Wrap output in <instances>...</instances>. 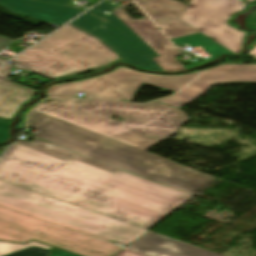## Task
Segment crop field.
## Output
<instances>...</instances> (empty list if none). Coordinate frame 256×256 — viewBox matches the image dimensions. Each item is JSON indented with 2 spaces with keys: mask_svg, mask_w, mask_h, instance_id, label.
Segmentation results:
<instances>
[{
  "mask_svg": "<svg viewBox=\"0 0 256 256\" xmlns=\"http://www.w3.org/2000/svg\"><path fill=\"white\" fill-rule=\"evenodd\" d=\"M2 158L83 184L64 202L146 229L193 197L121 170L112 174L72 158L63 162L17 144Z\"/></svg>",
  "mask_w": 256,
  "mask_h": 256,
  "instance_id": "1",
  "label": "crop field"
},
{
  "mask_svg": "<svg viewBox=\"0 0 256 256\" xmlns=\"http://www.w3.org/2000/svg\"><path fill=\"white\" fill-rule=\"evenodd\" d=\"M33 111L143 150L172 136L189 120L184 112L158 102L137 105L122 101L56 99L50 104H39ZM111 115L123 117L125 121H114L108 118Z\"/></svg>",
  "mask_w": 256,
  "mask_h": 256,
  "instance_id": "2",
  "label": "crop field"
},
{
  "mask_svg": "<svg viewBox=\"0 0 256 256\" xmlns=\"http://www.w3.org/2000/svg\"><path fill=\"white\" fill-rule=\"evenodd\" d=\"M27 125L41 130L34 137L194 195L216 180L162 157L33 111Z\"/></svg>",
  "mask_w": 256,
  "mask_h": 256,
  "instance_id": "3",
  "label": "crop field"
},
{
  "mask_svg": "<svg viewBox=\"0 0 256 256\" xmlns=\"http://www.w3.org/2000/svg\"><path fill=\"white\" fill-rule=\"evenodd\" d=\"M135 1L147 12L175 45L185 43L191 48L201 46L211 56L207 60L202 58L204 63L212 61L222 54H234L179 20L186 4L175 0ZM130 4L138 10L143 16V19L133 20L122 9L123 7L113 13L160 55V57L154 58V60L165 72H178L204 64L183 66L174 57L181 53L133 2Z\"/></svg>",
  "mask_w": 256,
  "mask_h": 256,
  "instance_id": "4",
  "label": "crop field"
},
{
  "mask_svg": "<svg viewBox=\"0 0 256 256\" xmlns=\"http://www.w3.org/2000/svg\"><path fill=\"white\" fill-rule=\"evenodd\" d=\"M11 61L25 71L65 79L100 71L121 59L97 38L69 24Z\"/></svg>",
  "mask_w": 256,
  "mask_h": 256,
  "instance_id": "5",
  "label": "crop field"
},
{
  "mask_svg": "<svg viewBox=\"0 0 256 256\" xmlns=\"http://www.w3.org/2000/svg\"><path fill=\"white\" fill-rule=\"evenodd\" d=\"M29 192L31 191L0 181V205L113 244L119 242L128 246L149 231L41 194L34 192L29 194Z\"/></svg>",
  "mask_w": 256,
  "mask_h": 256,
  "instance_id": "6",
  "label": "crop field"
},
{
  "mask_svg": "<svg viewBox=\"0 0 256 256\" xmlns=\"http://www.w3.org/2000/svg\"><path fill=\"white\" fill-rule=\"evenodd\" d=\"M200 72L178 76H165L142 73L125 67L87 80L66 84L52 85L47 89V96L72 98L77 92L87 98L120 100L132 99L142 83L178 91Z\"/></svg>",
  "mask_w": 256,
  "mask_h": 256,
  "instance_id": "7",
  "label": "crop field"
},
{
  "mask_svg": "<svg viewBox=\"0 0 256 256\" xmlns=\"http://www.w3.org/2000/svg\"><path fill=\"white\" fill-rule=\"evenodd\" d=\"M30 239L83 256H113L122 249L0 206V240L25 243Z\"/></svg>",
  "mask_w": 256,
  "mask_h": 256,
  "instance_id": "8",
  "label": "crop field"
},
{
  "mask_svg": "<svg viewBox=\"0 0 256 256\" xmlns=\"http://www.w3.org/2000/svg\"><path fill=\"white\" fill-rule=\"evenodd\" d=\"M244 9L245 3L239 0H191L180 19L237 55L242 51L246 32L227 23Z\"/></svg>",
  "mask_w": 256,
  "mask_h": 256,
  "instance_id": "9",
  "label": "crop field"
},
{
  "mask_svg": "<svg viewBox=\"0 0 256 256\" xmlns=\"http://www.w3.org/2000/svg\"><path fill=\"white\" fill-rule=\"evenodd\" d=\"M114 8L115 6L104 2L92 8L90 12L107 22L88 33L98 37L104 43L115 49L126 63L133 64L140 69L163 71L152 59L159 56L156 52L144 43L113 13H110L111 15L109 16L102 13L104 10L110 11Z\"/></svg>",
  "mask_w": 256,
  "mask_h": 256,
  "instance_id": "10",
  "label": "crop field"
},
{
  "mask_svg": "<svg viewBox=\"0 0 256 256\" xmlns=\"http://www.w3.org/2000/svg\"><path fill=\"white\" fill-rule=\"evenodd\" d=\"M0 180L65 200L85 186L0 158Z\"/></svg>",
  "mask_w": 256,
  "mask_h": 256,
  "instance_id": "11",
  "label": "crop field"
},
{
  "mask_svg": "<svg viewBox=\"0 0 256 256\" xmlns=\"http://www.w3.org/2000/svg\"><path fill=\"white\" fill-rule=\"evenodd\" d=\"M114 256H223L194 245L147 232Z\"/></svg>",
  "mask_w": 256,
  "mask_h": 256,
  "instance_id": "12",
  "label": "crop field"
},
{
  "mask_svg": "<svg viewBox=\"0 0 256 256\" xmlns=\"http://www.w3.org/2000/svg\"><path fill=\"white\" fill-rule=\"evenodd\" d=\"M216 84H256V71H205L179 94L158 101L181 108Z\"/></svg>",
  "mask_w": 256,
  "mask_h": 256,
  "instance_id": "13",
  "label": "crop field"
},
{
  "mask_svg": "<svg viewBox=\"0 0 256 256\" xmlns=\"http://www.w3.org/2000/svg\"><path fill=\"white\" fill-rule=\"evenodd\" d=\"M71 0L68 6L34 1V0H0V5L4 6L16 14L26 15L33 19L46 21L62 26L66 21L79 15L82 11L71 8ZM93 6L99 0H88Z\"/></svg>",
  "mask_w": 256,
  "mask_h": 256,
  "instance_id": "14",
  "label": "crop field"
},
{
  "mask_svg": "<svg viewBox=\"0 0 256 256\" xmlns=\"http://www.w3.org/2000/svg\"><path fill=\"white\" fill-rule=\"evenodd\" d=\"M10 73L0 70V117L12 119L20 106L33 99L35 90L6 78Z\"/></svg>",
  "mask_w": 256,
  "mask_h": 256,
  "instance_id": "15",
  "label": "crop field"
},
{
  "mask_svg": "<svg viewBox=\"0 0 256 256\" xmlns=\"http://www.w3.org/2000/svg\"><path fill=\"white\" fill-rule=\"evenodd\" d=\"M16 143H18L20 145H23V146H27L31 149H34V150L38 151V152L44 153L46 155H49V156H52V157H55V158H58V159L63 160V161L72 157L76 160L91 164L93 166H96V167H99V168H102V169H105V170H108L112 173H114L118 170V169L111 168L107 165L101 164L99 162L93 161L91 159L85 158L83 156L71 153V152H69L67 150H64L62 148L53 146V145H51V144H49L45 141L39 140V139H36L34 141H31V142L19 139Z\"/></svg>",
  "mask_w": 256,
  "mask_h": 256,
  "instance_id": "16",
  "label": "crop field"
},
{
  "mask_svg": "<svg viewBox=\"0 0 256 256\" xmlns=\"http://www.w3.org/2000/svg\"><path fill=\"white\" fill-rule=\"evenodd\" d=\"M106 21L100 19L99 17L87 12L84 15H82L81 17L77 18L76 20H74L73 24H75L76 26L82 28L85 31H90L92 29H94L95 27L99 26L100 24L104 23Z\"/></svg>",
  "mask_w": 256,
  "mask_h": 256,
  "instance_id": "17",
  "label": "crop field"
},
{
  "mask_svg": "<svg viewBox=\"0 0 256 256\" xmlns=\"http://www.w3.org/2000/svg\"><path fill=\"white\" fill-rule=\"evenodd\" d=\"M32 246H36V247H40V248H44V249H48L50 250V247L41 245L39 243L36 242H31L28 243L26 245H20V244H13V243H5V242H0V256L15 252V251H19L25 248H29Z\"/></svg>",
  "mask_w": 256,
  "mask_h": 256,
  "instance_id": "18",
  "label": "crop field"
},
{
  "mask_svg": "<svg viewBox=\"0 0 256 256\" xmlns=\"http://www.w3.org/2000/svg\"><path fill=\"white\" fill-rule=\"evenodd\" d=\"M50 251L32 247L6 256H48Z\"/></svg>",
  "mask_w": 256,
  "mask_h": 256,
  "instance_id": "19",
  "label": "crop field"
},
{
  "mask_svg": "<svg viewBox=\"0 0 256 256\" xmlns=\"http://www.w3.org/2000/svg\"><path fill=\"white\" fill-rule=\"evenodd\" d=\"M10 122L11 120L0 118V143L8 137Z\"/></svg>",
  "mask_w": 256,
  "mask_h": 256,
  "instance_id": "20",
  "label": "crop field"
},
{
  "mask_svg": "<svg viewBox=\"0 0 256 256\" xmlns=\"http://www.w3.org/2000/svg\"><path fill=\"white\" fill-rule=\"evenodd\" d=\"M209 70H256V65L220 66Z\"/></svg>",
  "mask_w": 256,
  "mask_h": 256,
  "instance_id": "21",
  "label": "crop field"
},
{
  "mask_svg": "<svg viewBox=\"0 0 256 256\" xmlns=\"http://www.w3.org/2000/svg\"><path fill=\"white\" fill-rule=\"evenodd\" d=\"M246 26L247 28H256V11L247 16Z\"/></svg>",
  "mask_w": 256,
  "mask_h": 256,
  "instance_id": "22",
  "label": "crop field"
},
{
  "mask_svg": "<svg viewBox=\"0 0 256 256\" xmlns=\"http://www.w3.org/2000/svg\"><path fill=\"white\" fill-rule=\"evenodd\" d=\"M11 42H13L11 39L0 36V50L5 46H7L8 44H10ZM4 61L6 60L0 58V64Z\"/></svg>",
  "mask_w": 256,
  "mask_h": 256,
  "instance_id": "23",
  "label": "crop field"
},
{
  "mask_svg": "<svg viewBox=\"0 0 256 256\" xmlns=\"http://www.w3.org/2000/svg\"><path fill=\"white\" fill-rule=\"evenodd\" d=\"M50 256H74V255H71V254H68V253H65L63 251H60V250H57V249L53 248Z\"/></svg>",
  "mask_w": 256,
  "mask_h": 256,
  "instance_id": "24",
  "label": "crop field"
},
{
  "mask_svg": "<svg viewBox=\"0 0 256 256\" xmlns=\"http://www.w3.org/2000/svg\"><path fill=\"white\" fill-rule=\"evenodd\" d=\"M40 1H46V2L64 4V5H68V3L70 2V0H40Z\"/></svg>",
  "mask_w": 256,
  "mask_h": 256,
  "instance_id": "25",
  "label": "crop field"
},
{
  "mask_svg": "<svg viewBox=\"0 0 256 256\" xmlns=\"http://www.w3.org/2000/svg\"><path fill=\"white\" fill-rule=\"evenodd\" d=\"M248 54H250L256 58V47L253 50H251Z\"/></svg>",
  "mask_w": 256,
  "mask_h": 256,
  "instance_id": "26",
  "label": "crop field"
},
{
  "mask_svg": "<svg viewBox=\"0 0 256 256\" xmlns=\"http://www.w3.org/2000/svg\"><path fill=\"white\" fill-rule=\"evenodd\" d=\"M1 68L5 69V70H8V71H9V69H10V67H8V66H6V65L2 66Z\"/></svg>",
  "mask_w": 256,
  "mask_h": 256,
  "instance_id": "27",
  "label": "crop field"
},
{
  "mask_svg": "<svg viewBox=\"0 0 256 256\" xmlns=\"http://www.w3.org/2000/svg\"><path fill=\"white\" fill-rule=\"evenodd\" d=\"M127 1H128L127 3H125V4L122 3V4H120L119 6L122 7V6H124V5H126V4H128V3H130V2H132V1H130V0H127Z\"/></svg>",
  "mask_w": 256,
  "mask_h": 256,
  "instance_id": "28",
  "label": "crop field"
},
{
  "mask_svg": "<svg viewBox=\"0 0 256 256\" xmlns=\"http://www.w3.org/2000/svg\"><path fill=\"white\" fill-rule=\"evenodd\" d=\"M247 1H253V0H247Z\"/></svg>",
  "mask_w": 256,
  "mask_h": 256,
  "instance_id": "29",
  "label": "crop field"
}]
</instances>
